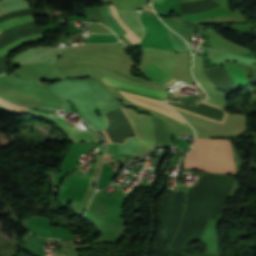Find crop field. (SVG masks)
<instances>
[{
    "label": "crop field",
    "instance_id": "8",
    "mask_svg": "<svg viewBox=\"0 0 256 256\" xmlns=\"http://www.w3.org/2000/svg\"><path fill=\"white\" fill-rule=\"evenodd\" d=\"M110 7H111V10H112V12H113V14H114V16H115L117 22H118L119 25H120V27H121L123 30H125L132 38H134V39L138 42L140 39H139L130 29H128V28L123 24V22H122V21L119 19V17L117 16V14H116V12H115L113 6L111 5ZM106 10H107V12H108V15H109L111 21L114 23V25L117 27V29H118L123 35L126 34V32L123 31V30L119 27V25L117 24L116 20L114 19L113 15H112V13H111V11H110L109 6L106 7ZM128 34L125 35V37H126L130 42L136 43V41H135L134 39H132Z\"/></svg>",
    "mask_w": 256,
    "mask_h": 256
},
{
    "label": "crop field",
    "instance_id": "13",
    "mask_svg": "<svg viewBox=\"0 0 256 256\" xmlns=\"http://www.w3.org/2000/svg\"><path fill=\"white\" fill-rule=\"evenodd\" d=\"M40 240H42L43 242L46 243L47 239H42V238H39Z\"/></svg>",
    "mask_w": 256,
    "mask_h": 256
},
{
    "label": "crop field",
    "instance_id": "11",
    "mask_svg": "<svg viewBox=\"0 0 256 256\" xmlns=\"http://www.w3.org/2000/svg\"><path fill=\"white\" fill-rule=\"evenodd\" d=\"M170 256H186V255L178 253V252L170 249ZM200 256H217V255L204 254V255H200Z\"/></svg>",
    "mask_w": 256,
    "mask_h": 256
},
{
    "label": "crop field",
    "instance_id": "14",
    "mask_svg": "<svg viewBox=\"0 0 256 256\" xmlns=\"http://www.w3.org/2000/svg\"><path fill=\"white\" fill-rule=\"evenodd\" d=\"M64 102V101H63Z\"/></svg>",
    "mask_w": 256,
    "mask_h": 256
},
{
    "label": "crop field",
    "instance_id": "10",
    "mask_svg": "<svg viewBox=\"0 0 256 256\" xmlns=\"http://www.w3.org/2000/svg\"><path fill=\"white\" fill-rule=\"evenodd\" d=\"M168 36L169 39L173 45L174 51H180V52H185V44L183 41H181L179 38H177L174 34L170 33L168 30ZM186 52H189L186 46Z\"/></svg>",
    "mask_w": 256,
    "mask_h": 256
},
{
    "label": "crop field",
    "instance_id": "1",
    "mask_svg": "<svg viewBox=\"0 0 256 256\" xmlns=\"http://www.w3.org/2000/svg\"><path fill=\"white\" fill-rule=\"evenodd\" d=\"M193 147L185 156L184 167L235 173L230 141L197 138Z\"/></svg>",
    "mask_w": 256,
    "mask_h": 256
},
{
    "label": "crop field",
    "instance_id": "2",
    "mask_svg": "<svg viewBox=\"0 0 256 256\" xmlns=\"http://www.w3.org/2000/svg\"><path fill=\"white\" fill-rule=\"evenodd\" d=\"M126 114L130 118L138 136L137 147L135 155L136 157H141L145 155L148 150L155 145V126L152 118L148 115L138 114L133 109L124 108ZM106 136L108 142H112L110 135L107 130L103 132Z\"/></svg>",
    "mask_w": 256,
    "mask_h": 256
},
{
    "label": "crop field",
    "instance_id": "3",
    "mask_svg": "<svg viewBox=\"0 0 256 256\" xmlns=\"http://www.w3.org/2000/svg\"><path fill=\"white\" fill-rule=\"evenodd\" d=\"M27 114L41 117L60 128L70 139V141H91L98 142V137L91 131L81 132L77 127H70L63 122L62 119L55 116L43 115L33 111L28 110Z\"/></svg>",
    "mask_w": 256,
    "mask_h": 256
},
{
    "label": "crop field",
    "instance_id": "7",
    "mask_svg": "<svg viewBox=\"0 0 256 256\" xmlns=\"http://www.w3.org/2000/svg\"><path fill=\"white\" fill-rule=\"evenodd\" d=\"M142 70L146 76L156 82L159 83H167L173 79H175L173 76L163 72L161 69H159L156 65H154L153 63L140 69ZM176 80V79H175ZM174 81V80H173ZM172 82V81H171ZM170 82V83H171ZM169 84V83H168ZM167 85V84H166Z\"/></svg>",
    "mask_w": 256,
    "mask_h": 256
},
{
    "label": "crop field",
    "instance_id": "4",
    "mask_svg": "<svg viewBox=\"0 0 256 256\" xmlns=\"http://www.w3.org/2000/svg\"><path fill=\"white\" fill-rule=\"evenodd\" d=\"M102 79H103L104 83L109 84L118 90L138 94L141 96H145V97H149V98H153V99H157V100H161V101H162V99H166V96H167V93H165V92L131 85V84L107 77L105 75L103 76Z\"/></svg>",
    "mask_w": 256,
    "mask_h": 256
},
{
    "label": "crop field",
    "instance_id": "5",
    "mask_svg": "<svg viewBox=\"0 0 256 256\" xmlns=\"http://www.w3.org/2000/svg\"><path fill=\"white\" fill-rule=\"evenodd\" d=\"M34 21V16H30V17H19V18H13L11 20H8V21H5L3 23L0 24V32L1 31H4L10 27H14V26H17V25H20V24H23V23H27V22H32ZM30 24H35V22H32V23H27V24H23V25H20V26H24V25H30ZM20 26H17V27H20ZM17 27H14V28H11L7 31H4L5 33L12 30V29H15ZM4 34L3 32L0 33V35ZM42 35L40 36H36V37H31V38H27V39H24L22 41H19L7 48H5L4 50L0 51V56L1 55H4L6 53H8L10 50H12L13 48H15L16 46L24 43V42H29V41H33V40H36V39H41Z\"/></svg>",
    "mask_w": 256,
    "mask_h": 256
},
{
    "label": "crop field",
    "instance_id": "12",
    "mask_svg": "<svg viewBox=\"0 0 256 256\" xmlns=\"http://www.w3.org/2000/svg\"><path fill=\"white\" fill-rule=\"evenodd\" d=\"M221 53H222L221 51L209 50L207 55H211L213 57H216V56H218Z\"/></svg>",
    "mask_w": 256,
    "mask_h": 256
},
{
    "label": "crop field",
    "instance_id": "6",
    "mask_svg": "<svg viewBox=\"0 0 256 256\" xmlns=\"http://www.w3.org/2000/svg\"><path fill=\"white\" fill-rule=\"evenodd\" d=\"M222 68L238 89L249 85L243 69L233 65H226Z\"/></svg>",
    "mask_w": 256,
    "mask_h": 256
},
{
    "label": "crop field",
    "instance_id": "9",
    "mask_svg": "<svg viewBox=\"0 0 256 256\" xmlns=\"http://www.w3.org/2000/svg\"><path fill=\"white\" fill-rule=\"evenodd\" d=\"M90 40H83L84 43H111L117 42L116 35H89Z\"/></svg>",
    "mask_w": 256,
    "mask_h": 256
}]
</instances>
